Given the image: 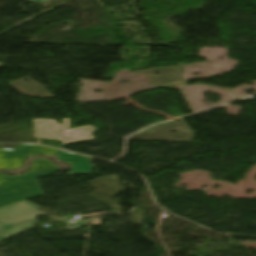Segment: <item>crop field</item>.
Instances as JSON below:
<instances>
[{
  "instance_id": "10",
  "label": "crop field",
  "mask_w": 256,
  "mask_h": 256,
  "mask_svg": "<svg viewBox=\"0 0 256 256\" xmlns=\"http://www.w3.org/2000/svg\"><path fill=\"white\" fill-rule=\"evenodd\" d=\"M88 224V220L84 221L83 225H87Z\"/></svg>"
},
{
  "instance_id": "9",
  "label": "crop field",
  "mask_w": 256,
  "mask_h": 256,
  "mask_svg": "<svg viewBox=\"0 0 256 256\" xmlns=\"http://www.w3.org/2000/svg\"><path fill=\"white\" fill-rule=\"evenodd\" d=\"M98 216H106V215H98ZM93 217H97V216H92V217H88V218H93ZM88 218H83V219H88Z\"/></svg>"
},
{
  "instance_id": "4",
  "label": "crop field",
  "mask_w": 256,
  "mask_h": 256,
  "mask_svg": "<svg viewBox=\"0 0 256 256\" xmlns=\"http://www.w3.org/2000/svg\"><path fill=\"white\" fill-rule=\"evenodd\" d=\"M46 214L37 209L0 220V229Z\"/></svg>"
},
{
  "instance_id": "8",
  "label": "crop field",
  "mask_w": 256,
  "mask_h": 256,
  "mask_svg": "<svg viewBox=\"0 0 256 256\" xmlns=\"http://www.w3.org/2000/svg\"><path fill=\"white\" fill-rule=\"evenodd\" d=\"M21 203H23V204H25V205H27V206L33 208V209L38 208L37 206H35V205H33V204H31V203H29V202H27V201H24V202H21Z\"/></svg>"
},
{
  "instance_id": "7",
  "label": "crop field",
  "mask_w": 256,
  "mask_h": 256,
  "mask_svg": "<svg viewBox=\"0 0 256 256\" xmlns=\"http://www.w3.org/2000/svg\"><path fill=\"white\" fill-rule=\"evenodd\" d=\"M7 237H10L9 235H7L5 232H3L2 230H0V240L5 239Z\"/></svg>"
},
{
  "instance_id": "1",
  "label": "crop field",
  "mask_w": 256,
  "mask_h": 256,
  "mask_svg": "<svg viewBox=\"0 0 256 256\" xmlns=\"http://www.w3.org/2000/svg\"><path fill=\"white\" fill-rule=\"evenodd\" d=\"M39 122L40 124L38 125ZM52 122L54 126L51 125ZM70 128L69 119H63V125L56 124L54 120H33V138L61 141L63 130Z\"/></svg>"
},
{
  "instance_id": "6",
  "label": "crop field",
  "mask_w": 256,
  "mask_h": 256,
  "mask_svg": "<svg viewBox=\"0 0 256 256\" xmlns=\"http://www.w3.org/2000/svg\"><path fill=\"white\" fill-rule=\"evenodd\" d=\"M35 221H36V218L26 221V222H23V223H20V224H17V225H14V226H11V227H8V228H5V229H2V230L5 231L10 236H13V235L28 231L30 229H33L32 224Z\"/></svg>"
},
{
  "instance_id": "5",
  "label": "crop field",
  "mask_w": 256,
  "mask_h": 256,
  "mask_svg": "<svg viewBox=\"0 0 256 256\" xmlns=\"http://www.w3.org/2000/svg\"><path fill=\"white\" fill-rule=\"evenodd\" d=\"M32 210L20 203L0 209V219Z\"/></svg>"
},
{
  "instance_id": "3",
  "label": "crop field",
  "mask_w": 256,
  "mask_h": 256,
  "mask_svg": "<svg viewBox=\"0 0 256 256\" xmlns=\"http://www.w3.org/2000/svg\"><path fill=\"white\" fill-rule=\"evenodd\" d=\"M96 131L97 129L92 126L65 131L62 145L95 140L94 136L91 135Z\"/></svg>"
},
{
  "instance_id": "2",
  "label": "crop field",
  "mask_w": 256,
  "mask_h": 256,
  "mask_svg": "<svg viewBox=\"0 0 256 256\" xmlns=\"http://www.w3.org/2000/svg\"><path fill=\"white\" fill-rule=\"evenodd\" d=\"M58 160L64 161L70 164L73 168L68 174V176L76 174H91L94 166L90 165V158H86L80 155H74L66 152L58 151Z\"/></svg>"
}]
</instances>
